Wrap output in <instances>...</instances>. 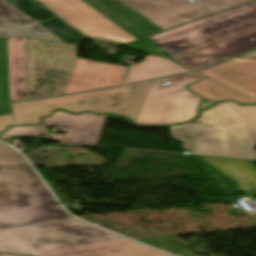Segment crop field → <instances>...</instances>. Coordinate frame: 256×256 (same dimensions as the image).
<instances>
[{"mask_svg": "<svg viewBox=\"0 0 256 256\" xmlns=\"http://www.w3.org/2000/svg\"><path fill=\"white\" fill-rule=\"evenodd\" d=\"M36 22L55 16L35 0H6Z\"/></svg>", "mask_w": 256, "mask_h": 256, "instance_id": "crop-field-22", "label": "crop field"}, {"mask_svg": "<svg viewBox=\"0 0 256 256\" xmlns=\"http://www.w3.org/2000/svg\"><path fill=\"white\" fill-rule=\"evenodd\" d=\"M76 46L26 38L28 99L63 93L77 59Z\"/></svg>", "mask_w": 256, "mask_h": 256, "instance_id": "crop-field-5", "label": "crop field"}, {"mask_svg": "<svg viewBox=\"0 0 256 256\" xmlns=\"http://www.w3.org/2000/svg\"><path fill=\"white\" fill-rule=\"evenodd\" d=\"M87 37L106 38L122 44L136 41L82 0H37Z\"/></svg>", "mask_w": 256, "mask_h": 256, "instance_id": "crop-field-9", "label": "crop field"}, {"mask_svg": "<svg viewBox=\"0 0 256 256\" xmlns=\"http://www.w3.org/2000/svg\"><path fill=\"white\" fill-rule=\"evenodd\" d=\"M256 22V1L188 23L149 39L170 54Z\"/></svg>", "mask_w": 256, "mask_h": 256, "instance_id": "crop-field-7", "label": "crop field"}, {"mask_svg": "<svg viewBox=\"0 0 256 256\" xmlns=\"http://www.w3.org/2000/svg\"><path fill=\"white\" fill-rule=\"evenodd\" d=\"M185 72H188V70L183 69L164 58L147 55L143 62L130 67L125 84Z\"/></svg>", "mask_w": 256, "mask_h": 256, "instance_id": "crop-field-17", "label": "crop field"}, {"mask_svg": "<svg viewBox=\"0 0 256 256\" xmlns=\"http://www.w3.org/2000/svg\"><path fill=\"white\" fill-rule=\"evenodd\" d=\"M46 128L42 125L39 126H15L10 127L6 132H4L0 139L9 137H27V136H37L39 134H45Z\"/></svg>", "mask_w": 256, "mask_h": 256, "instance_id": "crop-field-23", "label": "crop field"}, {"mask_svg": "<svg viewBox=\"0 0 256 256\" xmlns=\"http://www.w3.org/2000/svg\"><path fill=\"white\" fill-rule=\"evenodd\" d=\"M189 123L169 126L192 154L256 160V106L219 102Z\"/></svg>", "mask_w": 256, "mask_h": 256, "instance_id": "crop-field-2", "label": "crop field"}, {"mask_svg": "<svg viewBox=\"0 0 256 256\" xmlns=\"http://www.w3.org/2000/svg\"><path fill=\"white\" fill-rule=\"evenodd\" d=\"M247 196H252V197H254V196H256V192H254V193H250V194H246Z\"/></svg>", "mask_w": 256, "mask_h": 256, "instance_id": "crop-field-33", "label": "crop field"}, {"mask_svg": "<svg viewBox=\"0 0 256 256\" xmlns=\"http://www.w3.org/2000/svg\"><path fill=\"white\" fill-rule=\"evenodd\" d=\"M240 57H254V58H256V51H253V52H251V53L242 55V56H240Z\"/></svg>", "mask_w": 256, "mask_h": 256, "instance_id": "crop-field-31", "label": "crop field"}, {"mask_svg": "<svg viewBox=\"0 0 256 256\" xmlns=\"http://www.w3.org/2000/svg\"><path fill=\"white\" fill-rule=\"evenodd\" d=\"M7 114H12L10 103L0 105V115Z\"/></svg>", "mask_w": 256, "mask_h": 256, "instance_id": "crop-field-28", "label": "crop field"}, {"mask_svg": "<svg viewBox=\"0 0 256 256\" xmlns=\"http://www.w3.org/2000/svg\"><path fill=\"white\" fill-rule=\"evenodd\" d=\"M188 88L190 91L212 102L220 99H235L240 103L256 102L210 79L191 84Z\"/></svg>", "mask_w": 256, "mask_h": 256, "instance_id": "crop-field-20", "label": "crop field"}, {"mask_svg": "<svg viewBox=\"0 0 256 256\" xmlns=\"http://www.w3.org/2000/svg\"><path fill=\"white\" fill-rule=\"evenodd\" d=\"M207 163L231 178L244 194L256 191V168L246 161L203 158Z\"/></svg>", "mask_w": 256, "mask_h": 256, "instance_id": "crop-field-16", "label": "crop field"}, {"mask_svg": "<svg viewBox=\"0 0 256 256\" xmlns=\"http://www.w3.org/2000/svg\"><path fill=\"white\" fill-rule=\"evenodd\" d=\"M107 118L120 119V120L124 121L125 123H128V124H130V125H133V124H131V123L128 121V119H126V118H124V117H122V116L115 117V116H112V115H108V117H107ZM133 126H135V125H133ZM137 127L167 128V126H165V127H156V126H137Z\"/></svg>", "mask_w": 256, "mask_h": 256, "instance_id": "crop-field-29", "label": "crop field"}, {"mask_svg": "<svg viewBox=\"0 0 256 256\" xmlns=\"http://www.w3.org/2000/svg\"><path fill=\"white\" fill-rule=\"evenodd\" d=\"M0 165L4 166H28L21 155L12 148L0 144Z\"/></svg>", "mask_w": 256, "mask_h": 256, "instance_id": "crop-field-25", "label": "crop field"}, {"mask_svg": "<svg viewBox=\"0 0 256 256\" xmlns=\"http://www.w3.org/2000/svg\"><path fill=\"white\" fill-rule=\"evenodd\" d=\"M13 121L11 115L0 116V132L9 125H12Z\"/></svg>", "mask_w": 256, "mask_h": 256, "instance_id": "crop-field-27", "label": "crop field"}, {"mask_svg": "<svg viewBox=\"0 0 256 256\" xmlns=\"http://www.w3.org/2000/svg\"><path fill=\"white\" fill-rule=\"evenodd\" d=\"M256 30L237 36L235 38L223 41L221 43L198 50L188 55L192 56H215V57H232L237 54L256 48Z\"/></svg>", "mask_w": 256, "mask_h": 256, "instance_id": "crop-field-19", "label": "crop field"}, {"mask_svg": "<svg viewBox=\"0 0 256 256\" xmlns=\"http://www.w3.org/2000/svg\"><path fill=\"white\" fill-rule=\"evenodd\" d=\"M162 29L192 21L250 0H122Z\"/></svg>", "mask_w": 256, "mask_h": 256, "instance_id": "crop-field-8", "label": "crop field"}, {"mask_svg": "<svg viewBox=\"0 0 256 256\" xmlns=\"http://www.w3.org/2000/svg\"><path fill=\"white\" fill-rule=\"evenodd\" d=\"M202 78L192 72L162 79L171 83L167 85H162L159 79L151 81L136 123L169 124L193 118L200 97L186 91L185 85Z\"/></svg>", "mask_w": 256, "mask_h": 256, "instance_id": "crop-field-6", "label": "crop field"}, {"mask_svg": "<svg viewBox=\"0 0 256 256\" xmlns=\"http://www.w3.org/2000/svg\"><path fill=\"white\" fill-rule=\"evenodd\" d=\"M127 69L78 58L64 94L121 84Z\"/></svg>", "mask_w": 256, "mask_h": 256, "instance_id": "crop-field-10", "label": "crop field"}, {"mask_svg": "<svg viewBox=\"0 0 256 256\" xmlns=\"http://www.w3.org/2000/svg\"><path fill=\"white\" fill-rule=\"evenodd\" d=\"M256 29V23L244 28H241L239 30L230 32L228 34L222 35L220 37L214 38L212 40L206 41L204 43L198 44L196 46H193L191 48L185 49L183 51L177 52V53H173L170 54L168 56H170L171 58H173L174 60H176L177 62H179L180 64L195 70V69H199L208 65H211L213 63L219 62L221 60L227 59V58H215V57H192V56H184L188 53H191L193 51H196L198 49L204 48L206 46L218 43L220 41L235 37L237 35L249 32L251 30Z\"/></svg>", "mask_w": 256, "mask_h": 256, "instance_id": "crop-field-18", "label": "crop field"}, {"mask_svg": "<svg viewBox=\"0 0 256 256\" xmlns=\"http://www.w3.org/2000/svg\"><path fill=\"white\" fill-rule=\"evenodd\" d=\"M125 45H127L129 47H134L140 51H144L149 54L163 56L161 53H159L157 51L158 48L156 46H154L147 38L139 39L136 42H132V43L125 44Z\"/></svg>", "mask_w": 256, "mask_h": 256, "instance_id": "crop-field-26", "label": "crop field"}, {"mask_svg": "<svg viewBox=\"0 0 256 256\" xmlns=\"http://www.w3.org/2000/svg\"><path fill=\"white\" fill-rule=\"evenodd\" d=\"M0 252L33 256H168L74 218L0 229Z\"/></svg>", "mask_w": 256, "mask_h": 256, "instance_id": "crop-field-1", "label": "crop field"}, {"mask_svg": "<svg viewBox=\"0 0 256 256\" xmlns=\"http://www.w3.org/2000/svg\"><path fill=\"white\" fill-rule=\"evenodd\" d=\"M135 38L163 31L121 0H83Z\"/></svg>", "mask_w": 256, "mask_h": 256, "instance_id": "crop-field-12", "label": "crop field"}, {"mask_svg": "<svg viewBox=\"0 0 256 256\" xmlns=\"http://www.w3.org/2000/svg\"><path fill=\"white\" fill-rule=\"evenodd\" d=\"M38 24L47 28L67 43L78 44L80 41L86 38L84 35H82L80 32H78L59 17L39 22Z\"/></svg>", "mask_w": 256, "mask_h": 256, "instance_id": "crop-field-21", "label": "crop field"}, {"mask_svg": "<svg viewBox=\"0 0 256 256\" xmlns=\"http://www.w3.org/2000/svg\"><path fill=\"white\" fill-rule=\"evenodd\" d=\"M199 72L256 99V60L231 59Z\"/></svg>", "mask_w": 256, "mask_h": 256, "instance_id": "crop-field-13", "label": "crop field"}, {"mask_svg": "<svg viewBox=\"0 0 256 256\" xmlns=\"http://www.w3.org/2000/svg\"><path fill=\"white\" fill-rule=\"evenodd\" d=\"M149 82L65 97L11 103L15 123H39L38 116L48 115L53 108H62L74 113L82 110L110 112L122 114L135 121Z\"/></svg>", "mask_w": 256, "mask_h": 256, "instance_id": "crop-field-4", "label": "crop field"}, {"mask_svg": "<svg viewBox=\"0 0 256 256\" xmlns=\"http://www.w3.org/2000/svg\"><path fill=\"white\" fill-rule=\"evenodd\" d=\"M30 167L0 166V228L69 218Z\"/></svg>", "mask_w": 256, "mask_h": 256, "instance_id": "crop-field-3", "label": "crop field"}, {"mask_svg": "<svg viewBox=\"0 0 256 256\" xmlns=\"http://www.w3.org/2000/svg\"><path fill=\"white\" fill-rule=\"evenodd\" d=\"M0 36H25L29 38L64 42L5 0H0Z\"/></svg>", "mask_w": 256, "mask_h": 256, "instance_id": "crop-field-14", "label": "crop field"}, {"mask_svg": "<svg viewBox=\"0 0 256 256\" xmlns=\"http://www.w3.org/2000/svg\"><path fill=\"white\" fill-rule=\"evenodd\" d=\"M107 115L90 113L70 115L56 111L49 118H43L45 125L69 127L65 144L97 146Z\"/></svg>", "mask_w": 256, "mask_h": 256, "instance_id": "crop-field-11", "label": "crop field"}, {"mask_svg": "<svg viewBox=\"0 0 256 256\" xmlns=\"http://www.w3.org/2000/svg\"><path fill=\"white\" fill-rule=\"evenodd\" d=\"M0 256H21V255H11V254H1L0 253Z\"/></svg>", "mask_w": 256, "mask_h": 256, "instance_id": "crop-field-32", "label": "crop field"}, {"mask_svg": "<svg viewBox=\"0 0 256 256\" xmlns=\"http://www.w3.org/2000/svg\"><path fill=\"white\" fill-rule=\"evenodd\" d=\"M63 137H64V135L48 134V135H46L45 137H43V139L62 141V140H63Z\"/></svg>", "mask_w": 256, "mask_h": 256, "instance_id": "crop-field-30", "label": "crop field"}, {"mask_svg": "<svg viewBox=\"0 0 256 256\" xmlns=\"http://www.w3.org/2000/svg\"><path fill=\"white\" fill-rule=\"evenodd\" d=\"M9 101L6 78L5 38L0 37V102Z\"/></svg>", "mask_w": 256, "mask_h": 256, "instance_id": "crop-field-24", "label": "crop field"}, {"mask_svg": "<svg viewBox=\"0 0 256 256\" xmlns=\"http://www.w3.org/2000/svg\"><path fill=\"white\" fill-rule=\"evenodd\" d=\"M7 46L10 99H27L25 38H9Z\"/></svg>", "mask_w": 256, "mask_h": 256, "instance_id": "crop-field-15", "label": "crop field"}]
</instances>
